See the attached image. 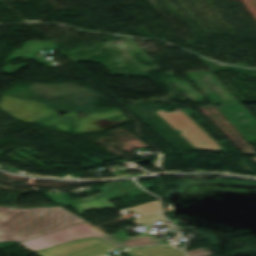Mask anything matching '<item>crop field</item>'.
Here are the masks:
<instances>
[{"label": "crop field", "instance_id": "obj_1", "mask_svg": "<svg viewBox=\"0 0 256 256\" xmlns=\"http://www.w3.org/2000/svg\"><path fill=\"white\" fill-rule=\"evenodd\" d=\"M83 221L60 207L29 209L0 207V241L22 242Z\"/></svg>", "mask_w": 256, "mask_h": 256}, {"label": "crop field", "instance_id": "obj_11", "mask_svg": "<svg viewBox=\"0 0 256 256\" xmlns=\"http://www.w3.org/2000/svg\"><path fill=\"white\" fill-rule=\"evenodd\" d=\"M24 66H26V64H19V65H15V66H13V67H10V66H9V69H10V72L12 73V72H14V71H16V70H18V69L24 67Z\"/></svg>", "mask_w": 256, "mask_h": 256}, {"label": "crop field", "instance_id": "obj_7", "mask_svg": "<svg viewBox=\"0 0 256 256\" xmlns=\"http://www.w3.org/2000/svg\"><path fill=\"white\" fill-rule=\"evenodd\" d=\"M203 250H205V249L204 248H200V249L188 251L187 254H188V256H205V255H209L210 254L208 249H206L207 252H205Z\"/></svg>", "mask_w": 256, "mask_h": 256}, {"label": "crop field", "instance_id": "obj_9", "mask_svg": "<svg viewBox=\"0 0 256 256\" xmlns=\"http://www.w3.org/2000/svg\"><path fill=\"white\" fill-rule=\"evenodd\" d=\"M120 182L122 181H116V182H109L106 185H104L103 187L99 188L100 191H102L103 193L106 192L107 190H109L110 188L118 185Z\"/></svg>", "mask_w": 256, "mask_h": 256}, {"label": "crop field", "instance_id": "obj_12", "mask_svg": "<svg viewBox=\"0 0 256 256\" xmlns=\"http://www.w3.org/2000/svg\"><path fill=\"white\" fill-rule=\"evenodd\" d=\"M144 189L150 188L153 184L150 183H143V182H138Z\"/></svg>", "mask_w": 256, "mask_h": 256}, {"label": "crop field", "instance_id": "obj_10", "mask_svg": "<svg viewBox=\"0 0 256 256\" xmlns=\"http://www.w3.org/2000/svg\"><path fill=\"white\" fill-rule=\"evenodd\" d=\"M162 220H164V219H163V217L160 216V217L151 219V220H149V221L140 223V224H138V225L150 224V223L157 222V221H162Z\"/></svg>", "mask_w": 256, "mask_h": 256}, {"label": "crop field", "instance_id": "obj_13", "mask_svg": "<svg viewBox=\"0 0 256 256\" xmlns=\"http://www.w3.org/2000/svg\"><path fill=\"white\" fill-rule=\"evenodd\" d=\"M34 60L40 61V62L44 63L46 66H48V67H52L51 65H49L50 62L47 61V60H44V59H34Z\"/></svg>", "mask_w": 256, "mask_h": 256}, {"label": "crop field", "instance_id": "obj_2", "mask_svg": "<svg viewBox=\"0 0 256 256\" xmlns=\"http://www.w3.org/2000/svg\"><path fill=\"white\" fill-rule=\"evenodd\" d=\"M42 47L46 48H56L53 43H44V42H29L25 43L21 50H14L13 53L7 59V65L3 68V72L10 73L8 69L9 61L16 59L20 56L33 57L37 51H40Z\"/></svg>", "mask_w": 256, "mask_h": 256}, {"label": "crop field", "instance_id": "obj_5", "mask_svg": "<svg viewBox=\"0 0 256 256\" xmlns=\"http://www.w3.org/2000/svg\"><path fill=\"white\" fill-rule=\"evenodd\" d=\"M46 194L50 197V199L54 203H56L58 205H67V204H71V203H75V202H79V201L97 198V196L101 193H99L91 198L75 200V201H72L67 194H58V193H46Z\"/></svg>", "mask_w": 256, "mask_h": 256}, {"label": "crop field", "instance_id": "obj_8", "mask_svg": "<svg viewBox=\"0 0 256 256\" xmlns=\"http://www.w3.org/2000/svg\"><path fill=\"white\" fill-rule=\"evenodd\" d=\"M160 215H161L160 213H157V214H150V215L139 216V217H136V218H135V220L133 221V223H134V224H137V223H140V222L149 220V219H151V218H154V217H157V216H160Z\"/></svg>", "mask_w": 256, "mask_h": 256}, {"label": "crop field", "instance_id": "obj_6", "mask_svg": "<svg viewBox=\"0 0 256 256\" xmlns=\"http://www.w3.org/2000/svg\"><path fill=\"white\" fill-rule=\"evenodd\" d=\"M129 209H131V210L136 209L138 214L152 212V211H160L158 200L149 202V203H145V204H141V205L129 208Z\"/></svg>", "mask_w": 256, "mask_h": 256}, {"label": "crop field", "instance_id": "obj_4", "mask_svg": "<svg viewBox=\"0 0 256 256\" xmlns=\"http://www.w3.org/2000/svg\"><path fill=\"white\" fill-rule=\"evenodd\" d=\"M128 192L130 193V195H134V194H139L143 191L133 182L125 181L124 183L118 185L116 188H114L112 191H110L105 195L106 197L114 200L123 196Z\"/></svg>", "mask_w": 256, "mask_h": 256}, {"label": "crop field", "instance_id": "obj_3", "mask_svg": "<svg viewBox=\"0 0 256 256\" xmlns=\"http://www.w3.org/2000/svg\"><path fill=\"white\" fill-rule=\"evenodd\" d=\"M72 206L80 215L92 209L114 208V205L110 203L104 196L97 200L74 204Z\"/></svg>", "mask_w": 256, "mask_h": 256}]
</instances>
